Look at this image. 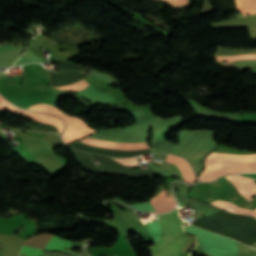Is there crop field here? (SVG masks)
<instances>
[{
	"label": "crop field",
	"mask_w": 256,
	"mask_h": 256,
	"mask_svg": "<svg viewBox=\"0 0 256 256\" xmlns=\"http://www.w3.org/2000/svg\"><path fill=\"white\" fill-rule=\"evenodd\" d=\"M206 158L221 161L247 162L256 161V154H230L212 152ZM204 163L205 169H203L198 176L199 179L203 181H212L227 173L256 172V162L233 163L205 159Z\"/></svg>",
	"instance_id": "1"
},
{
	"label": "crop field",
	"mask_w": 256,
	"mask_h": 256,
	"mask_svg": "<svg viewBox=\"0 0 256 256\" xmlns=\"http://www.w3.org/2000/svg\"><path fill=\"white\" fill-rule=\"evenodd\" d=\"M161 223L162 236L155 246L149 249L152 256H179L178 252L186 240L182 231V222L178 217L177 208L164 215H158Z\"/></svg>",
	"instance_id": "2"
},
{
	"label": "crop field",
	"mask_w": 256,
	"mask_h": 256,
	"mask_svg": "<svg viewBox=\"0 0 256 256\" xmlns=\"http://www.w3.org/2000/svg\"><path fill=\"white\" fill-rule=\"evenodd\" d=\"M0 109L12 111V112H18V113H21V114L31 117L32 119L36 120L37 122L55 125L59 134L61 133L62 128H63V123L58 118H56L54 116L46 115V114L21 110L15 106H13L12 104H10L8 101H6L1 96H0Z\"/></svg>",
	"instance_id": "3"
},
{
	"label": "crop field",
	"mask_w": 256,
	"mask_h": 256,
	"mask_svg": "<svg viewBox=\"0 0 256 256\" xmlns=\"http://www.w3.org/2000/svg\"><path fill=\"white\" fill-rule=\"evenodd\" d=\"M80 144L89 145L93 147L113 149V150H144L149 149L146 143H134V144H124V143H114L106 142L100 140H94L90 138H84L80 141H77ZM74 142L73 144H75ZM71 144V145H73ZM152 152V151H151ZM110 157V156H109Z\"/></svg>",
	"instance_id": "4"
},
{
	"label": "crop field",
	"mask_w": 256,
	"mask_h": 256,
	"mask_svg": "<svg viewBox=\"0 0 256 256\" xmlns=\"http://www.w3.org/2000/svg\"><path fill=\"white\" fill-rule=\"evenodd\" d=\"M70 244H71L70 241H64L53 236L44 249H57V250L68 252L73 255L81 254V253L66 251L63 249L64 246L70 247ZM21 254H24L25 256H40L42 255V250L22 245L18 256H21Z\"/></svg>",
	"instance_id": "5"
},
{
	"label": "crop field",
	"mask_w": 256,
	"mask_h": 256,
	"mask_svg": "<svg viewBox=\"0 0 256 256\" xmlns=\"http://www.w3.org/2000/svg\"><path fill=\"white\" fill-rule=\"evenodd\" d=\"M228 180H230L240 194L250 200L256 194V184L253 179L238 177L234 175L225 176ZM251 197V198H250Z\"/></svg>",
	"instance_id": "6"
},
{
	"label": "crop field",
	"mask_w": 256,
	"mask_h": 256,
	"mask_svg": "<svg viewBox=\"0 0 256 256\" xmlns=\"http://www.w3.org/2000/svg\"><path fill=\"white\" fill-rule=\"evenodd\" d=\"M150 202L157 213L167 212L175 206L172 196L169 194V197H166L165 189L156 197L152 198Z\"/></svg>",
	"instance_id": "7"
},
{
	"label": "crop field",
	"mask_w": 256,
	"mask_h": 256,
	"mask_svg": "<svg viewBox=\"0 0 256 256\" xmlns=\"http://www.w3.org/2000/svg\"><path fill=\"white\" fill-rule=\"evenodd\" d=\"M182 159L176 156H171V160H170V157L167 156L166 162H169L170 160V162L176 164L182 175L183 180L185 182L192 183L193 181H195L196 178L193 172L191 171L188 163Z\"/></svg>",
	"instance_id": "8"
},
{
	"label": "crop field",
	"mask_w": 256,
	"mask_h": 256,
	"mask_svg": "<svg viewBox=\"0 0 256 256\" xmlns=\"http://www.w3.org/2000/svg\"><path fill=\"white\" fill-rule=\"evenodd\" d=\"M211 205H214V206H216L220 209L226 210V211H230V212L242 214V215H249V216H253L256 218V210L251 211V210L239 208L231 203H227V202H223V201H214L211 203Z\"/></svg>",
	"instance_id": "9"
},
{
	"label": "crop field",
	"mask_w": 256,
	"mask_h": 256,
	"mask_svg": "<svg viewBox=\"0 0 256 256\" xmlns=\"http://www.w3.org/2000/svg\"><path fill=\"white\" fill-rule=\"evenodd\" d=\"M235 3L243 16H246V12L249 14L256 13V0H235Z\"/></svg>",
	"instance_id": "10"
},
{
	"label": "crop field",
	"mask_w": 256,
	"mask_h": 256,
	"mask_svg": "<svg viewBox=\"0 0 256 256\" xmlns=\"http://www.w3.org/2000/svg\"><path fill=\"white\" fill-rule=\"evenodd\" d=\"M90 84L88 82H86L84 79H82L81 81H79L78 83L75 84H71V85H67V86H63V87H59L60 89H64V90H75V91H79V90H83L86 87H88Z\"/></svg>",
	"instance_id": "11"
},
{
	"label": "crop field",
	"mask_w": 256,
	"mask_h": 256,
	"mask_svg": "<svg viewBox=\"0 0 256 256\" xmlns=\"http://www.w3.org/2000/svg\"><path fill=\"white\" fill-rule=\"evenodd\" d=\"M124 165H128V166H131V167H134V166H138L139 164L137 163L136 159L135 158H128V159H114Z\"/></svg>",
	"instance_id": "12"
},
{
	"label": "crop field",
	"mask_w": 256,
	"mask_h": 256,
	"mask_svg": "<svg viewBox=\"0 0 256 256\" xmlns=\"http://www.w3.org/2000/svg\"><path fill=\"white\" fill-rule=\"evenodd\" d=\"M239 66H256V60H240L238 61Z\"/></svg>",
	"instance_id": "13"
},
{
	"label": "crop field",
	"mask_w": 256,
	"mask_h": 256,
	"mask_svg": "<svg viewBox=\"0 0 256 256\" xmlns=\"http://www.w3.org/2000/svg\"><path fill=\"white\" fill-rule=\"evenodd\" d=\"M172 6H183L188 4L187 0H167Z\"/></svg>",
	"instance_id": "14"
},
{
	"label": "crop field",
	"mask_w": 256,
	"mask_h": 256,
	"mask_svg": "<svg viewBox=\"0 0 256 256\" xmlns=\"http://www.w3.org/2000/svg\"><path fill=\"white\" fill-rule=\"evenodd\" d=\"M20 46H0V53H4Z\"/></svg>",
	"instance_id": "15"
},
{
	"label": "crop field",
	"mask_w": 256,
	"mask_h": 256,
	"mask_svg": "<svg viewBox=\"0 0 256 256\" xmlns=\"http://www.w3.org/2000/svg\"><path fill=\"white\" fill-rule=\"evenodd\" d=\"M151 212V211H150ZM152 213H155V212H152Z\"/></svg>",
	"instance_id": "16"
}]
</instances>
